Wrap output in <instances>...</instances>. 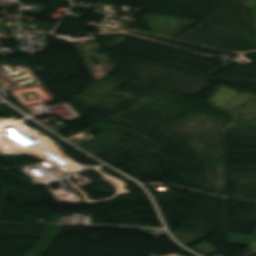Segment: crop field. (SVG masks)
<instances>
[{
	"label": "crop field",
	"mask_w": 256,
	"mask_h": 256,
	"mask_svg": "<svg viewBox=\"0 0 256 256\" xmlns=\"http://www.w3.org/2000/svg\"><path fill=\"white\" fill-rule=\"evenodd\" d=\"M142 18L148 22L152 33L169 37L174 36L181 30L195 22L194 20L149 14H144Z\"/></svg>",
	"instance_id": "1"
},
{
	"label": "crop field",
	"mask_w": 256,
	"mask_h": 256,
	"mask_svg": "<svg viewBox=\"0 0 256 256\" xmlns=\"http://www.w3.org/2000/svg\"><path fill=\"white\" fill-rule=\"evenodd\" d=\"M228 235L230 237V243L256 248V232L252 236Z\"/></svg>",
	"instance_id": "2"
}]
</instances>
